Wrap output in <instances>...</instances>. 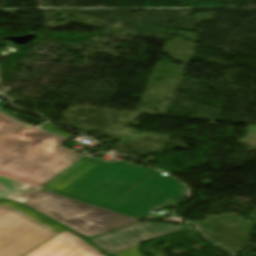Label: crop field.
Masks as SVG:
<instances>
[{
	"mask_svg": "<svg viewBox=\"0 0 256 256\" xmlns=\"http://www.w3.org/2000/svg\"><path fill=\"white\" fill-rule=\"evenodd\" d=\"M42 189L140 219L168 201L187 197L185 186L167 174L116 160L84 157Z\"/></svg>",
	"mask_w": 256,
	"mask_h": 256,
	"instance_id": "obj_1",
	"label": "crop field"
},
{
	"mask_svg": "<svg viewBox=\"0 0 256 256\" xmlns=\"http://www.w3.org/2000/svg\"><path fill=\"white\" fill-rule=\"evenodd\" d=\"M54 127H56L55 125L51 124V123H44L40 126L41 129L43 130H47V131H51V132H54V133H57L59 135H62V136H65V137H68V138H71L73 136L67 134V133H64V132H61V131H58V130H55L53 129Z\"/></svg>",
	"mask_w": 256,
	"mask_h": 256,
	"instance_id": "obj_9",
	"label": "crop field"
},
{
	"mask_svg": "<svg viewBox=\"0 0 256 256\" xmlns=\"http://www.w3.org/2000/svg\"><path fill=\"white\" fill-rule=\"evenodd\" d=\"M41 189L27 186L0 176V199L25 202Z\"/></svg>",
	"mask_w": 256,
	"mask_h": 256,
	"instance_id": "obj_7",
	"label": "crop field"
},
{
	"mask_svg": "<svg viewBox=\"0 0 256 256\" xmlns=\"http://www.w3.org/2000/svg\"><path fill=\"white\" fill-rule=\"evenodd\" d=\"M67 141L0 113V175L45 186L84 157L61 146Z\"/></svg>",
	"mask_w": 256,
	"mask_h": 256,
	"instance_id": "obj_2",
	"label": "crop field"
},
{
	"mask_svg": "<svg viewBox=\"0 0 256 256\" xmlns=\"http://www.w3.org/2000/svg\"><path fill=\"white\" fill-rule=\"evenodd\" d=\"M23 204L87 238L138 222L137 219L43 190Z\"/></svg>",
	"mask_w": 256,
	"mask_h": 256,
	"instance_id": "obj_3",
	"label": "crop field"
},
{
	"mask_svg": "<svg viewBox=\"0 0 256 256\" xmlns=\"http://www.w3.org/2000/svg\"><path fill=\"white\" fill-rule=\"evenodd\" d=\"M0 204H3V205H11V206L17 208L18 210H20V211H22V212L28 214L29 216H31V217L37 219L38 221H40V222H42V223H44V224H46V225H48V226H50V227H52V228L58 230V231H60V232L63 231V230H65V229H63V228H61V227H59V226H57V225H55V224H53V223L47 221L46 219H44V218H42V217L36 215L35 213H33V212H31V211H29V210H27V209H25V208H23V207L17 205V204H14V203H11V202H0Z\"/></svg>",
	"mask_w": 256,
	"mask_h": 256,
	"instance_id": "obj_8",
	"label": "crop field"
},
{
	"mask_svg": "<svg viewBox=\"0 0 256 256\" xmlns=\"http://www.w3.org/2000/svg\"><path fill=\"white\" fill-rule=\"evenodd\" d=\"M24 256H103L67 230L54 236Z\"/></svg>",
	"mask_w": 256,
	"mask_h": 256,
	"instance_id": "obj_6",
	"label": "crop field"
},
{
	"mask_svg": "<svg viewBox=\"0 0 256 256\" xmlns=\"http://www.w3.org/2000/svg\"><path fill=\"white\" fill-rule=\"evenodd\" d=\"M180 230H182L181 226H166L162 223H136L90 238L89 240L99 246L104 252L113 256H142L137 252L141 242Z\"/></svg>",
	"mask_w": 256,
	"mask_h": 256,
	"instance_id": "obj_5",
	"label": "crop field"
},
{
	"mask_svg": "<svg viewBox=\"0 0 256 256\" xmlns=\"http://www.w3.org/2000/svg\"><path fill=\"white\" fill-rule=\"evenodd\" d=\"M14 208L0 205V256H22L59 233Z\"/></svg>",
	"mask_w": 256,
	"mask_h": 256,
	"instance_id": "obj_4",
	"label": "crop field"
}]
</instances>
